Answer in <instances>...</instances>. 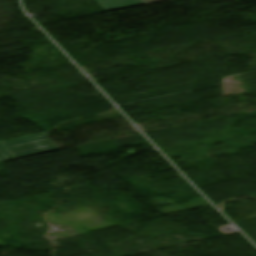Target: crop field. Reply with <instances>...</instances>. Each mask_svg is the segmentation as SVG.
Instances as JSON below:
<instances>
[{"label": "crop field", "instance_id": "crop-field-1", "mask_svg": "<svg viewBox=\"0 0 256 256\" xmlns=\"http://www.w3.org/2000/svg\"><path fill=\"white\" fill-rule=\"evenodd\" d=\"M15 158L58 150L44 133L3 142Z\"/></svg>", "mask_w": 256, "mask_h": 256}, {"label": "crop field", "instance_id": "crop-field-2", "mask_svg": "<svg viewBox=\"0 0 256 256\" xmlns=\"http://www.w3.org/2000/svg\"><path fill=\"white\" fill-rule=\"evenodd\" d=\"M107 11L145 4L143 0H98Z\"/></svg>", "mask_w": 256, "mask_h": 256}, {"label": "crop field", "instance_id": "crop-field-3", "mask_svg": "<svg viewBox=\"0 0 256 256\" xmlns=\"http://www.w3.org/2000/svg\"><path fill=\"white\" fill-rule=\"evenodd\" d=\"M15 158L11 155V153L6 149L2 142H0V161H9L14 160Z\"/></svg>", "mask_w": 256, "mask_h": 256}, {"label": "crop field", "instance_id": "crop-field-4", "mask_svg": "<svg viewBox=\"0 0 256 256\" xmlns=\"http://www.w3.org/2000/svg\"><path fill=\"white\" fill-rule=\"evenodd\" d=\"M148 4L150 3H156V2H161V1H166V0H146Z\"/></svg>", "mask_w": 256, "mask_h": 256}]
</instances>
